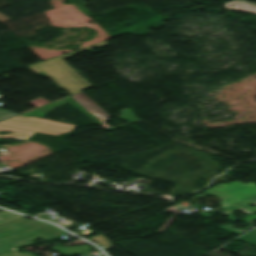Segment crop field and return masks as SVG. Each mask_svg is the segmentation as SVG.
<instances>
[{"instance_id":"crop-field-1","label":"crop field","mask_w":256,"mask_h":256,"mask_svg":"<svg viewBox=\"0 0 256 256\" xmlns=\"http://www.w3.org/2000/svg\"><path fill=\"white\" fill-rule=\"evenodd\" d=\"M62 232L48 223L22 218L0 226V252L29 244L34 238H48Z\"/></svg>"},{"instance_id":"crop-field-2","label":"crop field","mask_w":256,"mask_h":256,"mask_svg":"<svg viewBox=\"0 0 256 256\" xmlns=\"http://www.w3.org/2000/svg\"><path fill=\"white\" fill-rule=\"evenodd\" d=\"M103 44H106V42L103 41L98 44L86 47L84 49L72 52L64 56L28 66V68L37 74L50 77L64 91H66L69 95H71L73 93L80 92L87 88H90L92 87V85L88 83L82 76H80L74 69H72L61 58L97 47Z\"/></svg>"},{"instance_id":"crop-field-3","label":"crop field","mask_w":256,"mask_h":256,"mask_svg":"<svg viewBox=\"0 0 256 256\" xmlns=\"http://www.w3.org/2000/svg\"><path fill=\"white\" fill-rule=\"evenodd\" d=\"M256 183L247 184L234 182L231 184H218L204 192L216 195L221 198V204L224 212L229 216V220H235L232 212L235 210H243L249 214L256 211V207L251 208L247 205H256Z\"/></svg>"},{"instance_id":"crop-field-4","label":"crop field","mask_w":256,"mask_h":256,"mask_svg":"<svg viewBox=\"0 0 256 256\" xmlns=\"http://www.w3.org/2000/svg\"><path fill=\"white\" fill-rule=\"evenodd\" d=\"M76 125L57 122L53 120L17 116L0 123V131L15 132L1 136L2 138L14 137L26 140L35 131L58 135L72 130Z\"/></svg>"},{"instance_id":"crop-field-5","label":"crop field","mask_w":256,"mask_h":256,"mask_svg":"<svg viewBox=\"0 0 256 256\" xmlns=\"http://www.w3.org/2000/svg\"><path fill=\"white\" fill-rule=\"evenodd\" d=\"M83 108H85L90 114L94 115L99 121L102 122V126L109 127L105 122L108 121L106 118L109 117L98 105H96L88 96L84 93H76L71 95Z\"/></svg>"},{"instance_id":"crop-field-6","label":"crop field","mask_w":256,"mask_h":256,"mask_svg":"<svg viewBox=\"0 0 256 256\" xmlns=\"http://www.w3.org/2000/svg\"><path fill=\"white\" fill-rule=\"evenodd\" d=\"M237 1H239V0H237ZM237 1L233 0V1L225 3L223 5L227 9L246 11V12H251V13H255L256 14V6H253V5H256V4L249 5V4H252V3L245 4V3H248V2L241 3V2H244V1H241V2H237ZM229 5H232V7H229Z\"/></svg>"},{"instance_id":"crop-field-7","label":"crop field","mask_w":256,"mask_h":256,"mask_svg":"<svg viewBox=\"0 0 256 256\" xmlns=\"http://www.w3.org/2000/svg\"><path fill=\"white\" fill-rule=\"evenodd\" d=\"M52 249L60 252L61 254H74V253H81L84 250H90L88 245L85 246H77V247H52Z\"/></svg>"},{"instance_id":"crop-field-8","label":"crop field","mask_w":256,"mask_h":256,"mask_svg":"<svg viewBox=\"0 0 256 256\" xmlns=\"http://www.w3.org/2000/svg\"><path fill=\"white\" fill-rule=\"evenodd\" d=\"M254 220H256V215H255V214H252V215H250V216L244 218V221H246V222H248V223L251 224V226L248 227L246 230H239V229H237V228H233V226H232V225H229V224L226 225V226H223V227H219V228L240 235V234H242L243 232H245V231H247L248 229H250L251 227H253V225H252L251 222L254 221Z\"/></svg>"},{"instance_id":"crop-field-9","label":"crop field","mask_w":256,"mask_h":256,"mask_svg":"<svg viewBox=\"0 0 256 256\" xmlns=\"http://www.w3.org/2000/svg\"><path fill=\"white\" fill-rule=\"evenodd\" d=\"M19 218H22V216L5 211L0 214V225L19 219Z\"/></svg>"},{"instance_id":"crop-field-10","label":"crop field","mask_w":256,"mask_h":256,"mask_svg":"<svg viewBox=\"0 0 256 256\" xmlns=\"http://www.w3.org/2000/svg\"><path fill=\"white\" fill-rule=\"evenodd\" d=\"M175 208H178V206H176V207L171 206V207L165 209V212H175L176 214L173 215L172 217H170V218L163 224V226H162L157 232H162L163 229H164L168 224H170V223L173 221L174 217L180 214V212L174 210Z\"/></svg>"},{"instance_id":"crop-field-11","label":"crop field","mask_w":256,"mask_h":256,"mask_svg":"<svg viewBox=\"0 0 256 256\" xmlns=\"http://www.w3.org/2000/svg\"><path fill=\"white\" fill-rule=\"evenodd\" d=\"M16 113L0 110V122L16 116Z\"/></svg>"},{"instance_id":"crop-field-12","label":"crop field","mask_w":256,"mask_h":256,"mask_svg":"<svg viewBox=\"0 0 256 256\" xmlns=\"http://www.w3.org/2000/svg\"><path fill=\"white\" fill-rule=\"evenodd\" d=\"M28 103H30L33 106L37 107V106H40L42 104L48 103V101L43 99V98H39V99H35V100H32V101H28Z\"/></svg>"},{"instance_id":"crop-field-13","label":"crop field","mask_w":256,"mask_h":256,"mask_svg":"<svg viewBox=\"0 0 256 256\" xmlns=\"http://www.w3.org/2000/svg\"><path fill=\"white\" fill-rule=\"evenodd\" d=\"M0 256H30V253L20 254L18 251L13 250V251L1 254Z\"/></svg>"},{"instance_id":"crop-field-14","label":"crop field","mask_w":256,"mask_h":256,"mask_svg":"<svg viewBox=\"0 0 256 256\" xmlns=\"http://www.w3.org/2000/svg\"><path fill=\"white\" fill-rule=\"evenodd\" d=\"M205 195H207V193H204V194H202V195H195V196H193V198H194L193 200L197 199V198L200 197V196H205ZM193 200H192V201H193Z\"/></svg>"},{"instance_id":"crop-field-15","label":"crop field","mask_w":256,"mask_h":256,"mask_svg":"<svg viewBox=\"0 0 256 256\" xmlns=\"http://www.w3.org/2000/svg\"><path fill=\"white\" fill-rule=\"evenodd\" d=\"M199 214H201V215H205V216H210V214L202 213V212H200Z\"/></svg>"}]
</instances>
